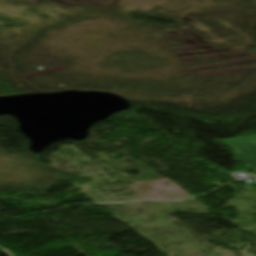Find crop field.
Wrapping results in <instances>:
<instances>
[{"label": "crop field", "instance_id": "8a807250", "mask_svg": "<svg viewBox=\"0 0 256 256\" xmlns=\"http://www.w3.org/2000/svg\"><path fill=\"white\" fill-rule=\"evenodd\" d=\"M221 142H224L225 145L236 146L237 150H240L236 157L253 163L254 165H251L248 168L256 171V137L236 140H221Z\"/></svg>", "mask_w": 256, "mask_h": 256}]
</instances>
